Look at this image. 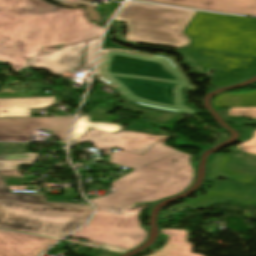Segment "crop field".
Instances as JSON below:
<instances>
[{
    "mask_svg": "<svg viewBox=\"0 0 256 256\" xmlns=\"http://www.w3.org/2000/svg\"><path fill=\"white\" fill-rule=\"evenodd\" d=\"M126 129L136 130V131H144V132H150V133H156V134H162V135L166 134L158 129H154L149 126L138 124V123H134V124L130 125L129 127H127Z\"/></svg>",
    "mask_w": 256,
    "mask_h": 256,
    "instance_id": "4177f3b9",
    "label": "crop field"
},
{
    "mask_svg": "<svg viewBox=\"0 0 256 256\" xmlns=\"http://www.w3.org/2000/svg\"><path fill=\"white\" fill-rule=\"evenodd\" d=\"M54 104V97L0 99V118L30 117L28 108Z\"/></svg>",
    "mask_w": 256,
    "mask_h": 256,
    "instance_id": "cbeb9de0",
    "label": "crop field"
},
{
    "mask_svg": "<svg viewBox=\"0 0 256 256\" xmlns=\"http://www.w3.org/2000/svg\"><path fill=\"white\" fill-rule=\"evenodd\" d=\"M74 117L0 119V134L31 136L35 129L53 130L65 143L66 134Z\"/></svg>",
    "mask_w": 256,
    "mask_h": 256,
    "instance_id": "3316defc",
    "label": "crop field"
},
{
    "mask_svg": "<svg viewBox=\"0 0 256 256\" xmlns=\"http://www.w3.org/2000/svg\"><path fill=\"white\" fill-rule=\"evenodd\" d=\"M26 143H8L6 154L25 152Z\"/></svg>",
    "mask_w": 256,
    "mask_h": 256,
    "instance_id": "730fd06b",
    "label": "crop field"
},
{
    "mask_svg": "<svg viewBox=\"0 0 256 256\" xmlns=\"http://www.w3.org/2000/svg\"><path fill=\"white\" fill-rule=\"evenodd\" d=\"M103 27L90 22L83 8L51 6L44 0H0V60L16 73L26 66L59 75L76 68L92 69ZM43 56L39 49L63 46Z\"/></svg>",
    "mask_w": 256,
    "mask_h": 256,
    "instance_id": "8a807250",
    "label": "crop field"
},
{
    "mask_svg": "<svg viewBox=\"0 0 256 256\" xmlns=\"http://www.w3.org/2000/svg\"><path fill=\"white\" fill-rule=\"evenodd\" d=\"M161 137L162 135L136 132L126 129L120 130L115 134L91 129L75 142L74 145L86 141L94 142V147L104 151L105 156L110 154V147H117L121 150L143 155Z\"/></svg>",
    "mask_w": 256,
    "mask_h": 256,
    "instance_id": "d8731c3e",
    "label": "crop field"
},
{
    "mask_svg": "<svg viewBox=\"0 0 256 256\" xmlns=\"http://www.w3.org/2000/svg\"><path fill=\"white\" fill-rule=\"evenodd\" d=\"M7 143H0V154H4Z\"/></svg>",
    "mask_w": 256,
    "mask_h": 256,
    "instance_id": "d3111659",
    "label": "crop field"
},
{
    "mask_svg": "<svg viewBox=\"0 0 256 256\" xmlns=\"http://www.w3.org/2000/svg\"><path fill=\"white\" fill-rule=\"evenodd\" d=\"M167 137L160 139L152 148H150L143 156L125 152L118 151L111 154V162L119 164L126 167H131L136 169L140 166L158 160L160 158L166 157L178 151L161 145Z\"/></svg>",
    "mask_w": 256,
    "mask_h": 256,
    "instance_id": "22f410ed",
    "label": "crop field"
},
{
    "mask_svg": "<svg viewBox=\"0 0 256 256\" xmlns=\"http://www.w3.org/2000/svg\"><path fill=\"white\" fill-rule=\"evenodd\" d=\"M30 164L34 165L35 162H13V161H0V169H17V164Z\"/></svg>",
    "mask_w": 256,
    "mask_h": 256,
    "instance_id": "eef30255",
    "label": "crop field"
},
{
    "mask_svg": "<svg viewBox=\"0 0 256 256\" xmlns=\"http://www.w3.org/2000/svg\"><path fill=\"white\" fill-rule=\"evenodd\" d=\"M124 109L144 114L140 119H138L139 121L159 126L168 130L173 128L184 117L181 115L140 109L129 103L124 107Z\"/></svg>",
    "mask_w": 256,
    "mask_h": 256,
    "instance_id": "733c2abd",
    "label": "crop field"
},
{
    "mask_svg": "<svg viewBox=\"0 0 256 256\" xmlns=\"http://www.w3.org/2000/svg\"><path fill=\"white\" fill-rule=\"evenodd\" d=\"M116 118L113 115L83 116L80 117L73 129L71 141H77L90 127L114 132L122 128L120 124H112Z\"/></svg>",
    "mask_w": 256,
    "mask_h": 256,
    "instance_id": "d9b57169",
    "label": "crop field"
},
{
    "mask_svg": "<svg viewBox=\"0 0 256 256\" xmlns=\"http://www.w3.org/2000/svg\"><path fill=\"white\" fill-rule=\"evenodd\" d=\"M232 107L256 106V94L230 96Z\"/></svg>",
    "mask_w": 256,
    "mask_h": 256,
    "instance_id": "92a150f3",
    "label": "crop field"
},
{
    "mask_svg": "<svg viewBox=\"0 0 256 256\" xmlns=\"http://www.w3.org/2000/svg\"><path fill=\"white\" fill-rule=\"evenodd\" d=\"M183 33L189 46L256 56V20L196 11Z\"/></svg>",
    "mask_w": 256,
    "mask_h": 256,
    "instance_id": "dd49c442",
    "label": "crop field"
},
{
    "mask_svg": "<svg viewBox=\"0 0 256 256\" xmlns=\"http://www.w3.org/2000/svg\"><path fill=\"white\" fill-rule=\"evenodd\" d=\"M30 137L0 135V141H29Z\"/></svg>",
    "mask_w": 256,
    "mask_h": 256,
    "instance_id": "ae1a2a85",
    "label": "crop field"
},
{
    "mask_svg": "<svg viewBox=\"0 0 256 256\" xmlns=\"http://www.w3.org/2000/svg\"><path fill=\"white\" fill-rule=\"evenodd\" d=\"M228 117H247L252 123H256V107L229 108L226 111Z\"/></svg>",
    "mask_w": 256,
    "mask_h": 256,
    "instance_id": "214f88e0",
    "label": "crop field"
},
{
    "mask_svg": "<svg viewBox=\"0 0 256 256\" xmlns=\"http://www.w3.org/2000/svg\"><path fill=\"white\" fill-rule=\"evenodd\" d=\"M39 155L40 154H34V153L0 155V160L37 161Z\"/></svg>",
    "mask_w": 256,
    "mask_h": 256,
    "instance_id": "dafd665d",
    "label": "crop field"
},
{
    "mask_svg": "<svg viewBox=\"0 0 256 256\" xmlns=\"http://www.w3.org/2000/svg\"><path fill=\"white\" fill-rule=\"evenodd\" d=\"M56 241L0 230V256H39Z\"/></svg>",
    "mask_w": 256,
    "mask_h": 256,
    "instance_id": "28ad6ade",
    "label": "crop field"
},
{
    "mask_svg": "<svg viewBox=\"0 0 256 256\" xmlns=\"http://www.w3.org/2000/svg\"><path fill=\"white\" fill-rule=\"evenodd\" d=\"M170 236L166 245L151 256H203L191 253L193 244L187 243V230L161 229Z\"/></svg>",
    "mask_w": 256,
    "mask_h": 256,
    "instance_id": "5142ce71",
    "label": "crop field"
},
{
    "mask_svg": "<svg viewBox=\"0 0 256 256\" xmlns=\"http://www.w3.org/2000/svg\"><path fill=\"white\" fill-rule=\"evenodd\" d=\"M226 13L256 15V0H144Z\"/></svg>",
    "mask_w": 256,
    "mask_h": 256,
    "instance_id": "d1516ede",
    "label": "crop field"
},
{
    "mask_svg": "<svg viewBox=\"0 0 256 256\" xmlns=\"http://www.w3.org/2000/svg\"><path fill=\"white\" fill-rule=\"evenodd\" d=\"M220 200H235V201H238V202H241L244 204H248V205H256V201H254V200L231 197V196L208 192L196 199L190 200L186 203L176 205L172 208L167 209L166 211H164L162 213L161 218L171 215L174 210H176L180 207H203V206H206L208 204H211V203H214V202H217Z\"/></svg>",
    "mask_w": 256,
    "mask_h": 256,
    "instance_id": "4a817a6b",
    "label": "crop field"
},
{
    "mask_svg": "<svg viewBox=\"0 0 256 256\" xmlns=\"http://www.w3.org/2000/svg\"><path fill=\"white\" fill-rule=\"evenodd\" d=\"M209 191L256 200V186L253 185L216 180Z\"/></svg>",
    "mask_w": 256,
    "mask_h": 256,
    "instance_id": "bc2a9ffb",
    "label": "crop field"
},
{
    "mask_svg": "<svg viewBox=\"0 0 256 256\" xmlns=\"http://www.w3.org/2000/svg\"><path fill=\"white\" fill-rule=\"evenodd\" d=\"M94 77L136 106L183 115L199 112L186 104L181 89L194 87L172 57L133 51L106 41Z\"/></svg>",
    "mask_w": 256,
    "mask_h": 256,
    "instance_id": "34b2d1b8",
    "label": "crop field"
},
{
    "mask_svg": "<svg viewBox=\"0 0 256 256\" xmlns=\"http://www.w3.org/2000/svg\"><path fill=\"white\" fill-rule=\"evenodd\" d=\"M185 56L193 61L202 73L210 67L215 70V76L209 81L211 86H227L256 75V57L192 47L185 50Z\"/></svg>",
    "mask_w": 256,
    "mask_h": 256,
    "instance_id": "e52e79f7",
    "label": "crop field"
},
{
    "mask_svg": "<svg viewBox=\"0 0 256 256\" xmlns=\"http://www.w3.org/2000/svg\"><path fill=\"white\" fill-rule=\"evenodd\" d=\"M92 212L86 204L45 202L44 196L11 194L0 176V228L61 238Z\"/></svg>",
    "mask_w": 256,
    "mask_h": 256,
    "instance_id": "412701ff",
    "label": "crop field"
},
{
    "mask_svg": "<svg viewBox=\"0 0 256 256\" xmlns=\"http://www.w3.org/2000/svg\"><path fill=\"white\" fill-rule=\"evenodd\" d=\"M187 154L178 153L139 168L112 185L117 192L90 200L97 207L93 219L71 237L82 238L132 249L145 242L146 234L139 227L140 213H114L113 209L137 204L153 205L161 199L187 190L195 179V168ZM102 209V211H99Z\"/></svg>",
    "mask_w": 256,
    "mask_h": 256,
    "instance_id": "ac0d7876",
    "label": "crop field"
},
{
    "mask_svg": "<svg viewBox=\"0 0 256 256\" xmlns=\"http://www.w3.org/2000/svg\"><path fill=\"white\" fill-rule=\"evenodd\" d=\"M207 176L225 177L236 182L256 185V155L245 153L214 155Z\"/></svg>",
    "mask_w": 256,
    "mask_h": 256,
    "instance_id": "5a996713",
    "label": "crop field"
},
{
    "mask_svg": "<svg viewBox=\"0 0 256 256\" xmlns=\"http://www.w3.org/2000/svg\"><path fill=\"white\" fill-rule=\"evenodd\" d=\"M194 13L193 10L126 2L114 18L125 20L128 41L180 48L190 42L182 30Z\"/></svg>",
    "mask_w": 256,
    "mask_h": 256,
    "instance_id": "f4fd0767",
    "label": "crop field"
},
{
    "mask_svg": "<svg viewBox=\"0 0 256 256\" xmlns=\"http://www.w3.org/2000/svg\"><path fill=\"white\" fill-rule=\"evenodd\" d=\"M252 93H256V90L248 93H243V94H231V93L221 94L214 98L213 106L214 107H231L229 95H244V94H252Z\"/></svg>",
    "mask_w": 256,
    "mask_h": 256,
    "instance_id": "a9b5d70f",
    "label": "crop field"
},
{
    "mask_svg": "<svg viewBox=\"0 0 256 256\" xmlns=\"http://www.w3.org/2000/svg\"><path fill=\"white\" fill-rule=\"evenodd\" d=\"M253 136L251 137L250 140L241 143L235 147L223 150V151H227V150H231V149H235L238 148L246 153H250V154H256V129H253Z\"/></svg>",
    "mask_w": 256,
    "mask_h": 256,
    "instance_id": "00972430",
    "label": "crop field"
}]
</instances>
